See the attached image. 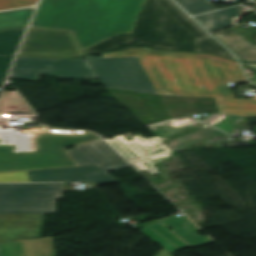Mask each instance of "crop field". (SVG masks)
<instances>
[{
	"label": "crop field",
	"instance_id": "1",
	"mask_svg": "<svg viewBox=\"0 0 256 256\" xmlns=\"http://www.w3.org/2000/svg\"><path fill=\"white\" fill-rule=\"evenodd\" d=\"M102 56H138L163 95L233 98L227 82L246 81L237 62L209 55L132 49Z\"/></svg>",
	"mask_w": 256,
	"mask_h": 256
},
{
	"label": "crop field",
	"instance_id": "2",
	"mask_svg": "<svg viewBox=\"0 0 256 256\" xmlns=\"http://www.w3.org/2000/svg\"><path fill=\"white\" fill-rule=\"evenodd\" d=\"M145 0H42L30 27L71 31L81 49L131 33Z\"/></svg>",
	"mask_w": 256,
	"mask_h": 256
},
{
	"label": "crop field",
	"instance_id": "3",
	"mask_svg": "<svg viewBox=\"0 0 256 256\" xmlns=\"http://www.w3.org/2000/svg\"><path fill=\"white\" fill-rule=\"evenodd\" d=\"M195 23L171 0H147L133 34L106 40L85 52L89 55L127 47H151L208 53L237 61Z\"/></svg>",
	"mask_w": 256,
	"mask_h": 256
},
{
	"label": "crop field",
	"instance_id": "4",
	"mask_svg": "<svg viewBox=\"0 0 256 256\" xmlns=\"http://www.w3.org/2000/svg\"><path fill=\"white\" fill-rule=\"evenodd\" d=\"M29 131L32 150L9 151L0 141V172L77 166L47 128Z\"/></svg>",
	"mask_w": 256,
	"mask_h": 256
},
{
	"label": "crop field",
	"instance_id": "5",
	"mask_svg": "<svg viewBox=\"0 0 256 256\" xmlns=\"http://www.w3.org/2000/svg\"><path fill=\"white\" fill-rule=\"evenodd\" d=\"M63 191V184H0V213H54Z\"/></svg>",
	"mask_w": 256,
	"mask_h": 256
},
{
	"label": "crop field",
	"instance_id": "6",
	"mask_svg": "<svg viewBox=\"0 0 256 256\" xmlns=\"http://www.w3.org/2000/svg\"><path fill=\"white\" fill-rule=\"evenodd\" d=\"M87 58L104 87L157 94L137 57Z\"/></svg>",
	"mask_w": 256,
	"mask_h": 256
},
{
	"label": "crop field",
	"instance_id": "7",
	"mask_svg": "<svg viewBox=\"0 0 256 256\" xmlns=\"http://www.w3.org/2000/svg\"><path fill=\"white\" fill-rule=\"evenodd\" d=\"M41 74L66 80L98 79L88 60L17 57L9 77L38 81Z\"/></svg>",
	"mask_w": 256,
	"mask_h": 256
},
{
	"label": "crop field",
	"instance_id": "8",
	"mask_svg": "<svg viewBox=\"0 0 256 256\" xmlns=\"http://www.w3.org/2000/svg\"><path fill=\"white\" fill-rule=\"evenodd\" d=\"M18 56L65 58L83 55L70 32L29 28Z\"/></svg>",
	"mask_w": 256,
	"mask_h": 256
},
{
	"label": "crop field",
	"instance_id": "9",
	"mask_svg": "<svg viewBox=\"0 0 256 256\" xmlns=\"http://www.w3.org/2000/svg\"><path fill=\"white\" fill-rule=\"evenodd\" d=\"M31 182H93L94 184L118 181L98 165L54 170L28 171Z\"/></svg>",
	"mask_w": 256,
	"mask_h": 256
},
{
	"label": "crop field",
	"instance_id": "10",
	"mask_svg": "<svg viewBox=\"0 0 256 256\" xmlns=\"http://www.w3.org/2000/svg\"><path fill=\"white\" fill-rule=\"evenodd\" d=\"M44 214H0V242L39 238Z\"/></svg>",
	"mask_w": 256,
	"mask_h": 256
},
{
	"label": "crop field",
	"instance_id": "11",
	"mask_svg": "<svg viewBox=\"0 0 256 256\" xmlns=\"http://www.w3.org/2000/svg\"><path fill=\"white\" fill-rule=\"evenodd\" d=\"M67 152L78 166L107 164L124 161L103 140L79 145Z\"/></svg>",
	"mask_w": 256,
	"mask_h": 256
},
{
	"label": "crop field",
	"instance_id": "12",
	"mask_svg": "<svg viewBox=\"0 0 256 256\" xmlns=\"http://www.w3.org/2000/svg\"><path fill=\"white\" fill-rule=\"evenodd\" d=\"M134 140L127 142L124 135L114 136L113 139L105 138L127 160L136 159L150 151L156 145L162 143L157 137L143 138L141 135L133 137Z\"/></svg>",
	"mask_w": 256,
	"mask_h": 256
},
{
	"label": "crop field",
	"instance_id": "13",
	"mask_svg": "<svg viewBox=\"0 0 256 256\" xmlns=\"http://www.w3.org/2000/svg\"><path fill=\"white\" fill-rule=\"evenodd\" d=\"M213 35L242 60L256 63V46L234 28L213 33Z\"/></svg>",
	"mask_w": 256,
	"mask_h": 256
},
{
	"label": "crop field",
	"instance_id": "14",
	"mask_svg": "<svg viewBox=\"0 0 256 256\" xmlns=\"http://www.w3.org/2000/svg\"><path fill=\"white\" fill-rule=\"evenodd\" d=\"M158 221L165 226L170 225L173 227V232L191 247L212 243L208 237H200L196 235L195 232L200 229L185 216L177 217L173 215L171 217L159 219Z\"/></svg>",
	"mask_w": 256,
	"mask_h": 256
},
{
	"label": "crop field",
	"instance_id": "15",
	"mask_svg": "<svg viewBox=\"0 0 256 256\" xmlns=\"http://www.w3.org/2000/svg\"><path fill=\"white\" fill-rule=\"evenodd\" d=\"M25 29L0 32V85Z\"/></svg>",
	"mask_w": 256,
	"mask_h": 256
},
{
	"label": "crop field",
	"instance_id": "16",
	"mask_svg": "<svg viewBox=\"0 0 256 256\" xmlns=\"http://www.w3.org/2000/svg\"><path fill=\"white\" fill-rule=\"evenodd\" d=\"M141 233L169 252L189 247L160 223L144 227Z\"/></svg>",
	"mask_w": 256,
	"mask_h": 256
},
{
	"label": "crop field",
	"instance_id": "17",
	"mask_svg": "<svg viewBox=\"0 0 256 256\" xmlns=\"http://www.w3.org/2000/svg\"><path fill=\"white\" fill-rule=\"evenodd\" d=\"M244 6H238L198 17H194L204 28L208 31H214L217 29H221L227 26L234 25V22L231 18L240 16L239 10L245 9Z\"/></svg>",
	"mask_w": 256,
	"mask_h": 256
},
{
	"label": "crop field",
	"instance_id": "18",
	"mask_svg": "<svg viewBox=\"0 0 256 256\" xmlns=\"http://www.w3.org/2000/svg\"><path fill=\"white\" fill-rule=\"evenodd\" d=\"M215 99L220 113L256 116V100Z\"/></svg>",
	"mask_w": 256,
	"mask_h": 256
},
{
	"label": "crop field",
	"instance_id": "19",
	"mask_svg": "<svg viewBox=\"0 0 256 256\" xmlns=\"http://www.w3.org/2000/svg\"><path fill=\"white\" fill-rule=\"evenodd\" d=\"M34 8L0 12V31L26 28Z\"/></svg>",
	"mask_w": 256,
	"mask_h": 256
},
{
	"label": "crop field",
	"instance_id": "20",
	"mask_svg": "<svg viewBox=\"0 0 256 256\" xmlns=\"http://www.w3.org/2000/svg\"><path fill=\"white\" fill-rule=\"evenodd\" d=\"M49 130L64 148L101 139L97 135L88 132L55 129Z\"/></svg>",
	"mask_w": 256,
	"mask_h": 256
},
{
	"label": "crop field",
	"instance_id": "21",
	"mask_svg": "<svg viewBox=\"0 0 256 256\" xmlns=\"http://www.w3.org/2000/svg\"><path fill=\"white\" fill-rule=\"evenodd\" d=\"M17 112H28L30 116H36L21 99L17 91H3L0 96V113Z\"/></svg>",
	"mask_w": 256,
	"mask_h": 256
},
{
	"label": "crop field",
	"instance_id": "22",
	"mask_svg": "<svg viewBox=\"0 0 256 256\" xmlns=\"http://www.w3.org/2000/svg\"><path fill=\"white\" fill-rule=\"evenodd\" d=\"M222 133L221 131L211 127L207 130H200V131H194L191 133H186L178 138H174L169 140V142L174 145L178 150L187 147L189 145H192L194 143H197L199 141H202L204 139H207L209 137L215 136L217 134Z\"/></svg>",
	"mask_w": 256,
	"mask_h": 256
},
{
	"label": "crop field",
	"instance_id": "23",
	"mask_svg": "<svg viewBox=\"0 0 256 256\" xmlns=\"http://www.w3.org/2000/svg\"><path fill=\"white\" fill-rule=\"evenodd\" d=\"M22 242L26 256H56L51 237Z\"/></svg>",
	"mask_w": 256,
	"mask_h": 256
},
{
	"label": "crop field",
	"instance_id": "24",
	"mask_svg": "<svg viewBox=\"0 0 256 256\" xmlns=\"http://www.w3.org/2000/svg\"><path fill=\"white\" fill-rule=\"evenodd\" d=\"M21 135L11 131L0 130V140L10 141V150L31 149L30 137L27 129H22Z\"/></svg>",
	"mask_w": 256,
	"mask_h": 256
},
{
	"label": "crop field",
	"instance_id": "25",
	"mask_svg": "<svg viewBox=\"0 0 256 256\" xmlns=\"http://www.w3.org/2000/svg\"><path fill=\"white\" fill-rule=\"evenodd\" d=\"M182 5L191 15L198 13L216 10L214 6L208 3L206 0H176Z\"/></svg>",
	"mask_w": 256,
	"mask_h": 256
},
{
	"label": "crop field",
	"instance_id": "26",
	"mask_svg": "<svg viewBox=\"0 0 256 256\" xmlns=\"http://www.w3.org/2000/svg\"><path fill=\"white\" fill-rule=\"evenodd\" d=\"M25 255L21 241L0 243V256Z\"/></svg>",
	"mask_w": 256,
	"mask_h": 256
},
{
	"label": "crop field",
	"instance_id": "27",
	"mask_svg": "<svg viewBox=\"0 0 256 256\" xmlns=\"http://www.w3.org/2000/svg\"><path fill=\"white\" fill-rule=\"evenodd\" d=\"M169 156H171V154L153 158V159H149V160H145V161H141V162H137V163H133L132 165L134 167H136L139 171L147 169L151 174H154V173H158V170L153 165L162 161L163 159H165Z\"/></svg>",
	"mask_w": 256,
	"mask_h": 256
},
{
	"label": "crop field",
	"instance_id": "28",
	"mask_svg": "<svg viewBox=\"0 0 256 256\" xmlns=\"http://www.w3.org/2000/svg\"><path fill=\"white\" fill-rule=\"evenodd\" d=\"M0 182H30L27 177V171L15 173L0 174Z\"/></svg>",
	"mask_w": 256,
	"mask_h": 256
},
{
	"label": "crop field",
	"instance_id": "29",
	"mask_svg": "<svg viewBox=\"0 0 256 256\" xmlns=\"http://www.w3.org/2000/svg\"><path fill=\"white\" fill-rule=\"evenodd\" d=\"M36 2L37 0H0V10L31 6Z\"/></svg>",
	"mask_w": 256,
	"mask_h": 256
},
{
	"label": "crop field",
	"instance_id": "30",
	"mask_svg": "<svg viewBox=\"0 0 256 256\" xmlns=\"http://www.w3.org/2000/svg\"><path fill=\"white\" fill-rule=\"evenodd\" d=\"M168 153H172V152L163 143V144L157 146L156 148H154L153 150H151L150 152H148L147 154L143 155L142 157H140L136 160L130 161V163L148 159V158H152V157H156V156H160V155H164V154H168Z\"/></svg>",
	"mask_w": 256,
	"mask_h": 256
},
{
	"label": "crop field",
	"instance_id": "31",
	"mask_svg": "<svg viewBox=\"0 0 256 256\" xmlns=\"http://www.w3.org/2000/svg\"><path fill=\"white\" fill-rule=\"evenodd\" d=\"M102 169H104L106 172L129 167L130 165L126 162L122 163H115V164H108V165H99Z\"/></svg>",
	"mask_w": 256,
	"mask_h": 256
},
{
	"label": "crop field",
	"instance_id": "32",
	"mask_svg": "<svg viewBox=\"0 0 256 256\" xmlns=\"http://www.w3.org/2000/svg\"><path fill=\"white\" fill-rule=\"evenodd\" d=\"M157 256H172V254L163 249Z\"/></svg>",
	"mask_w": 256,
	"mask_h": 256
},
{
	"label": "crop field",
	"instance_id": "33",
	"mask_svg": "<svg viewBox=\"0 0 256 256\" xmlns=\"http://www.w3.org/2000/svg\"><path fill=\"white\" fill-rule=\"evenodd\" d=\"M256 72V64H246Z\"/></svg>",
	"mask_w": 256,
	"mask_h": 256
},
{
	"label": "crop field",
	"instance_id": "34",
	"mask_svg": "<svg viewBox=\"0 0 256 256\" xmlns=\"http://www.w3.org/2000/svg\"><path fill=\"white\" fill-rule=\"evenodd\" d=\"M252 82L256 83V76L249 78Z\"/></svg>",
	"mask_w": 256,
	"mask_h": 256
},
{
	"label": "crop field",
	"instance_id": "35",
	"mask_svg": "<svg viewBox=\"0 0 256 256\" xmlns=\"http://www.w3.org/2000/svg\"><path fill=\"white\" fill-rule=\"evenodd\" d=\"M6 116V114H0V117H5Z\"/></svg>",
	"mask_w": 256,
	"mask_h": 256
},
{
	"label": "crop field",
	"instance_id": "36",
	"mask_svg": "<svg viewBox=\"0 0 256 256\" xmlns=\"http://www.w3.org/2000/svg\"><path fill=\"white\" fill-rule=\"evenodd\" d=\"M256 13V12H255Z\"/></svg>",
	"mask_w": 256,
	"mask_h": 256
}]
</instances>
